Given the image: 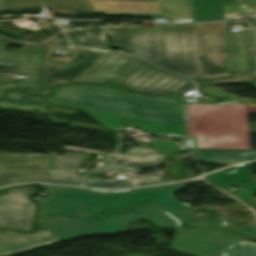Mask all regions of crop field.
I'll return each instance as SVG.
<instances>
[{
  "mask_svg": "<svg viewBox=\"0 0 256 256\" xmlns=\"http://www.w3.org/2000/svg\"><path fill=\"white\" fill-rule=\"evenodd\" d=\"M181 141L184 142V146L183 147H187V138H181Z\"/></svg>",
  "mask_w": 256,
  "mask_h": 256,
  "instance_id": "1d83c4d3",
  "label": "crop field"
},
{
  "mask_svg": "<svg viewBox=\"0 0 256 256\" xmlns=\"http://www.w3.org/2000/svg\"><path fill=\"white\" fill-rule=\"evenodd\" d=\"M8 191L9 196L0 197V225L28 230L34 206L26 196L34 189L21 186Z\"/></svg>",
  "mask_w": 256,
  "mask_h": 256,
  "instance_id": "d1516ede",
  "label": "crop field"
},
{
  "mask_svg": "<svg viewBox=\"0 0 256 256\" xmlns=\"http://www.w3.org/2000/svg\"><path fill=\"white\" fill-rule=\"evenodd\" d=\"M223 4H237L233 0H193L195 22L224 20Z\"/></svg>",
  "mask_w": 256,
  "mask_h": 256,
  "instance_id": "92a150f3",
  "label": "crop field"
},
{
  "mask_svg": "<svg viewBox=\"0 0 256 256\" xmlns=\"http://www.w3.org/2000/svg\"><path fill=\"white\" fill-rule=\"evenodd\" d=\"M201 90H202L203 92H205V93H208V94L213 95V96H216V97H220L222 94H227V95H229L233 100L240 99V98H238V97H235V96H233V95H231V94H228V93H226V92H223V91H221V90H219V89H217V88L211 87V86H205V87H203Z\"/></svg>",
  "mask_w": 256,
  "mask_h": 256,
  "instance_id": "ae1a2a85",
  "label": "crop field"
},
{
  "mask_svg": "<svg viewBox=\"0 0 256 256\" xmlns=\"http://www.w3.org/2000/svg\"><path fill=\"white\" fill-rule=\"evenodd\" d=\"M227 256H256V245L251 242L240 241L228 252Z\"/></svg>",
  "mask_w": 256,
  "mask_h": 256,
  "instance_id": "730fd06b",
  "label": "crop field"
},
{
  "mask_svg": "<svg viewBox=\"0 0 256 256\" xmlns=\"http://www.w3.org/2000/svg\"><path fill=\"white\" fill-rule=\"evenodd\" d=\"M201 79L197 85L221 81H249L256 72L229 75L226 32L224 22L195 24Z\"/></svg>",
  "mask_w": 256,
  "mask_h": 256,
  "instance_id": "e52e79f7",
  "label": "crop field"
},
{
  "mask_svg": "<svg viewBox=\"0 0 256 256\" xmlns=\"http://www.w3.org/2000/svg\"><path fill=\"white\" fill-rule=\"evenodd\" d=\"M45 57L46 46H24L8 52L6 45H0V66L14 74L28 73V80L0 76V97L8 88L43 95Z\"/></svg>",
  "mask_w": 256,
  "mask_h": 256,
  "instance_id": "d8731c3e",
  "label": "crop field"
},
{
  "mask_svg": "<svg viewBox=\"0 0 256 256\" xmlns=\"http://www.w3.org/2000/svg\"><path fill=\"white\" fill-rule=\"evenodd\" d=\"M73 46L107 48L103 27L77 29L72 25L60 24Z\"/></svg>",
  "mask_w": 256,
  "mask_h": 256,
  "instance_id": "bc2a9ffb",
  "label": "crop field"
},
{
  "mask_svg": "<svg viewBox=\"0 0 256 256\" xmlns=\"http://www.w3.org/2000/svg\"><path fill=\"white\" fill-rule=\"evenodd\" d=\"M255 89H256V87H255Z\"/></svg>",
  "mask_w": 256,
  "mask_h": 256,
  "instance_id": "028f5c9d",
  "label": "crop field"
},
{
  "mask_svg": "<svg viewBox=\"0 0 256 256\" xmlns=\"http://www.w3.org/2000/svg\"><path fill=\"white\" fill-rule=\"evenodd\" d=\"M251 164L252 162L235 166L234 173H226L223 171L213 173L208 176V180L224 190L230 184L243 187L235 197L245 200L254 196L256 193V184L248 177Z\"/></svg>",
  "mask_w": 256,
  "mask_h": 256,
  "instance_id": "733c2abd",
  "label": "crop field"
},
{
  "mask_svg": "<svg viewBox=\"0 0 256 256\" xmlns=\"http://www.w3.org/2000/svg\"><path fill=\"white\" fill-rule=\"evenodd\" d=\"M136 149L151 150L149 148H136Z\"/></svg>",
  "mask_w": 256,
  "mask_h": 256,
  "instance_id": "120bbe31",
  "label": "crop field"
},
{
  "mask_svg": "<svg viewBox=\"0 0 256 256\" xmlns=\"http://www.w3.org/2000/svg\"><path fill=\"white\" fill-rule=\"evenodd\" d=\"M96 13L171 18V22H194L192 0H89Z\"/></svg>",
  "mask_w": 256,
  "mask_h": 256,
  "instance_id": "5a996713",
  "label": "crop field"
},
{
  "mask_svg": "<svg viewBox=\"0 0 256 256\" xmlns=\"http://www.w3.org/2000/svg\"><path fill=\"white\" fill-rule=\"evenodd\" d=\"M57 242L59 241L45 229H36L31 234L0 229V256H11Z\"/></svg>",
  "mask_w": 256,
  "mask_h": 256,
  "instance_id": "cbeb9de0",
  "label": "crop field"
},
{
  "mask_svg": "<svg viewBox=\"0 0 256 256\" xmlns=\"http://www.w3.org/2000/svg\"><path fill=\"white\" fill-rule=\"evenodd\" d=\"M196 160L211 161L223 164L239 163L256 159V151L188 149Z\"/></svg>",
  "mask_w": 256,
  "mask_h": 256,
  "instance_id": "214f88e0",
  "label": "crop field"
},
{
  "mask_svg": "<svg viewBox=\"0 0 256 256\" xmlns=\"http://www.w3.org/2000/svg\"><path fill=\"white\" fill-rule=\"evenodd\" d=\"M145 175L138 177V179H130V180H116V179H101V178H87L85 186L92 187H128V186H136V185H145V184H154V183H163L167 182L165 179L156 176L150 175L151 177L146 179ZM150 180H154L151 182Z\"/></svg>",
  "mask_w": 256,
  "mask_h": 256,
  "instance_id": "00972430",
  "label": "crop field"
},
{
  "mask_svg": "<svg viewBox=\"0 0 256 256\" xmlns=\"http://www.w3.org/2000/svg\"><path fill=\"white\" fill-rule=\"evenodd\" d=\"M67 173H69V172H66V173H62L61 175H62V176H64V175H65V174H67Z\"/></svg>",
  "mask_w": 256,
  "mask_h": 256,
  "instance_id": "d32e631a",
  "label": "crop field"
},
{
  "mask_svg": "<svg viewBox=\"0 0 256 256\" xmlns=\"http://www.w3.org/2000/svg\"><path fill=\"white\" fill-rule=\"evenodd\" d=\"M185 189L186 187L179 184L125 191H100L49 185L48 198L40 200L38 222L156 203L189 226L222 228L256 238L254 225L228 226L225 225V218L222 217L202 220L189 216L187 211L190 206L174 198L176 193Z\"/></svg>",
  "mask_w": 256,
  "mask_h": 256,
  "instance_id": "ac0d7876",
  "label": "crop field"
},
{
  "mask_svg": "<svg viewBox=\"0 0 256 256\" xmlns=\"http://www.w3.org/2000/svg\"><path fill=\"white\" fill-rule=\"evenodd\" d=\"M0 107L46 112L42 98L23 95L16 91H7Z\"/></svg>",
  "mask_w": 256,
  "mask_h": 256,
  "instance_id": "dafd665d",
  "label": "crop field"
},
{
  "mask_svg": "<svg viewBox=\"0 0 256 256\" xmlns=\"http://www.w3.org/2000/svg\"><path fill=\"white\" fill-rule=\"evenodd\" d=\"M135 219H148L158 228L176 229V237L170 248L197 256H224L226 250L242 238L222 230L182 229L177 220L156 205L51 221L41 223L38 227H45L62 242L84 235L124 231L129 222Z\"/></svg>",
  "mask_w": 256,
  "mask_h": 256,
  "instance_id": "34b2d1b8",
  "label": "crop field"
},
{
  "mask_svg": "<svg viewBox=\"0 0 256 256\" xmlns=\"http://www.w3.org/2000/svg\"><path fill=\"white\" fill-rule=\"evenodd\" d=\"M44 29H51L54 36L46 40L45 42L38 44L34 42H23L17 41L13 39H8L0 36V44H25V45H56V46H70L68 44L67 38L63 31L56 25V23L52 22L50 24H46L41 26Z\"/></svg>",
  "mask_w": 256,
  "mask_h": 256,
  "instance_id": "a9b5d70f",
  "label": "crop field"
},
{
  "mask_svg": "<svg viewBox=\"0 0 256 256\" xmlns=\"http://www.w3.org/2000/svg\"><path fill=\"white\" fill-rule=\"evenodd\" d=\"M231 73L256 70V52L253 29L231 31L230 22H225Z\"/></svg>",
  "mask_w": 256,
  "mask_h": 256,
  "instance_id": "22f410ed",
  "label": "crop field"
},
{
  "mask_svg": "<svg viewBox=\"0 0 256 256\" xmlns=\"http://www.w3.org/2000/svg\"><path fill=\"white\" fill-rule=\"evenodd\" d=\"M188 130L190 147L250 149L241 102L188 105Z\"/></svg>",
  "mask_w": 256,
  "mask_h": 256,
  "instance_id": "f4fd0767",
  "label": "crop field"
},
{
  "mask_svg": "<svg viewBox=\"0 0 256 256\" xmlns=\"http://www.w3.org/2000/svg\"><path fill=\"white\" fill-rule=\"evenodd\" d=\"M151 146L155 148V150L159 153L168 152L172 150L181 149L178 145H176L172 141L167 142H159V143H149Z\"/></svg>",
  "mask_w": 256,
  "mask_h": 256,
  "instance_id": "eef30255",
  "label": "crop field"
},
{
  "mask_svg": "<svg viewBox=\"0 0 256 256\" xmlns=\"http://www.w3.org/2000/svg\"><path fill=\"white\" fill-rule=\"evenodd\" d=\"M116 135H117L118 145L112 154L78 149V148H71L66 146H63V148L97 153V154H107L105 158V160L107 161V166L104 170H109V171H140V169L144 167L160 165V162L156 160L132 159L136 155L164 157L163 155L155 151H142V150L131 149L126 154L120 155L118 151L123 144V135L122 133H116Z\"/></svg>",
  "mask_w": 256,
  "mask_h": 256,
  "instance_id": "5142ce71",
  "label": "crop field"
},
{
  "mask_svg": "<svg viewBox=\"0 0 256 256\" xmlns=\"http://www.w3.org/2000/svg\"><path fill=\"white\" fill-rule=\"evenodd\" d=\"M135 158H144V159H156L161 161L162 158H157V157H143V156H136Z\"/></svg>",
  "mask_w": 256,
  "mask_h": 256,
  "instance_id": "bd1437ed",
  "label": "crop field"
},
{
  "mask_svg": "<svg viewBox=\"0 0 256 256\" xmlns=\"http://www.w3.org/2000/svg\"><path fill=\"white\" fill-rule=\"evenodd\" d=\"M177 95L151 97L130 94L119 85L80 84L56 87L44 100L78 107L110 131L131 125L147 133L185 136L184 104Z\"/></svg>",
  "mask_w": 256,
  "mask_h": 256,
  "instance_id": "8a807250",
  "label": "crop field"
},
{
  "mask_svg": "<svg viewBox=\"0 0 256 256\" xmlns=\"http://www.w3.org/2000/svg\"><path fill=\"white\" fill-rule=\"evenodd\" d=\"M109 52L72 82L114 81L133 90L160 94L168 91L184 92L194 83L154 66L137 57H122Z\"/></svg>",
  "mask_w": 256,
  "mask_h": 256,
  "instance_id": "dd49c442",
  "label": "crop field"
},
{
  "mask_svg": "<svg viewBox=\"0 0 256 256\" xmlns=\"http://www.w3.org/2000/svg\"><path fill=\"white\" fill-rule=\"evenodd\" d=\"M47 182V154L0 152V186Z\"/></svg>",
  "mask_w": 256,
  "mask_h": 256,
  "instance_id": "28ad6ade",
  "label": "crop field"
},
{
  "mask_svg": "<svg viewBox=\"0 0 256 256\" xmlns=\"http://www.w3.org/2000/svg\"><path fill=\"white\" fill-rule=\"evenodd\" d=\"M249 113H256V104H248Z\"/></svg>",
  "mask_w": 256,
  "mask_h": 256,
  "instance_id": "d3111659",
  "label": "crop field"
},
{
  "mask_svg": "<svg viewBox=\"0 0 256 256\" xmlns=\"http://www.w3.org/2000/svg\"><path fill=\"white\" fill-rule=\"evenodd\" d=\"M55 49L67 50L69 47L47 46L44 95L57 83H67L100 59L109 51L91 48H71L69 60L55 58ZM75 79V78H74Z\"/></svg>",
  "mask_w": 256,
  "mask_h": 256,
  "instance_id": "3316defc",
  "label": "crop field"
},
{
  "mask_svg": "<svg viewBox=\"0 0 256 256\" xmlns=\"http://www.w3.org/2000/svg\"><path fill=\"white\" fill-rule=\"evenodd\" d=\"M70 156L76 157L69 160ZM83 155L65 154L64 158L57 157L56 153L48 155V170L52 171L48 182L80 185L82 176H76V171L82 163ZM70 171V174L62 177L61 172Z\"/></svg>",
  "mask_w": 256,
  "mask_h": 256,
  "instance_id": "4a817a6b",
  "label": "crop field"
},
{
  "mask_svg": "<svg viewBox=\"0 0 256 256\" xmlns=\"http://www.w3.org/2000/svg\"><path fill=\"white\" fill-rule=\"evenodd\" d=\"M50 7L54 12L76 14L95 12L88 0H3L1 11Z\"/></svg>",
  "mask_w": 256,
  "mask_h": 256,
  "instance_id": "d9b57169",
  "label": "crop field"
},
{
  "mask_svg": "<svg viewBox=\"0 0 256 256\" xmlns=\"http://www.w3.org/2000/svg\"><path fill=\"white\" fill-rule=\"evenodd\" d=\"M241 4H256V0H237Z\"/></svg>",
  "mask_w": 256,
  "mask_h": 256,
  "instance_id": "750c4746",
  "label": "crop field"
},
{
  "mask_svg": "<svg viewBox=\"0 0 256 256\" xmlns=\"http://www.w3.org/2000/svg\"><path fill=\"white\" fill-rule=\"evenodd\" d=\"M225 20L245 17V14L256 12V6L250 5H224Z\"/></svg>",
  "mask_w": 256,
  "mask_h": 256,
  "instance_id": "4177f3b9",
  "label": "crop field"
},
{
  "mask_svg": "<svg viewBox=\"0 0 256 256\" xmlns=\"http://www.w3.org/2000/svg\"><path fill=\"white\" fill-rule=\"evenodd\" d=\"M0 8H1V0H0Z\"/></svg>",
  "mask_w": 256,
  "mask_h": 256,
  "instance_id": "5866460e",
  "label": "crop field"
},
{
  "mask_svg": "<svg viewBox=\"0 0 256 256\" xmlns=\"http://www.w3.org/2000/svg\"><path fill=\"white\" fill-rule=\"evenodd\" d=\"M112 47H121L158 66L185 76L199 77L194 24H165L164 28L104 26Z\"/></svg>",
  "mask_w": 256,
  "mask_h": 256,
  "instance_id": "412701ff",
  "label": "crop field"
}]
</instances>
